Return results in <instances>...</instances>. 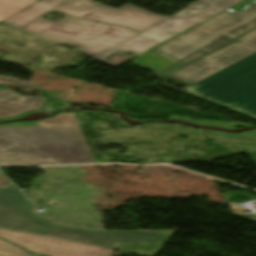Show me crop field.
I'll use <instances>...</instances> for the list:
<instances>
[{"label": "crop field", "mask_w": 256, "mask_h": 256, "mask_svg": "<svg viewBox=\"0 0 256 256\" xmlns=\"http://www.w3.org/2000/svg\"><path fill=\"white\" fill-rule=\"evenodd\" d=\"M40 126L78 125L74 113H61L54 118L39 122Z\"/></svg>", "instance_id": "crop-field-12"}, {"label": "crop field", "mask_w": 256, "mask_h": 256, "mask_svg": "<svg viewBox=\"0 0 256 256\" xmlns=\"http://www.w3.org/2000/svg\"><path fill=\"white\" fill-rule=\"evenodd\" d=\"M54 10L70 16L127 26L140 32L167 18L129 4L113 9L94 0H39L2 23L54 43L78 46V51L93 59L140 34L123 27L69 16L59 22L43 18Z\"/></svg>", "instance_id": "crop-field-1"}, {"label": "crop field", "mask_w": 256, "mask_h": 256, "mask_svg": "<svg viewBox=\"0 0 256 256\" xmlns=\"http://www.w3.org/2000/svg\"><path fill=\"white\" fill-rule=\"evenodd\" d=\"M39 110H40V109H38V110H33V111H29V112H25V113H23V114H21V115H19V116L14 117V118L0 119V121L12 120V119H20V118H22V117H24V116H26V115L31 114V113L39 112Z\"/></svg>", "instance_id": "crop-field-17"}, {"label": "crop field", "mask_w": 256, "mask_h": 256, "mask_svg": "<svg viewBox=\"0 0 256 256\" xmlns=\"http://www.w3.org/2000/svg\"><path fill=\"white\" fill-rule=\"evenodd\" d=\"M256 26V17L241 26L233 29L225 35L190 53L189 55L174 62L182 66L196 60L197 58L207 54L208 52L229 42L244 32ZM256 51V29L228 44L222 49L204 57L203 59L169 75L168 77L179 81L194 84L196 81L224 68L225 66L253 53ZM171 64L164 69L156 72L161 79L163 76L181 66ZM201 81V80H200ZM199 82V81H198Z\"/></svg>", "instance_id": "crop-field-4"}, {"label": "crop field", "mask_w": 256, "mask_h": 256, "mask_svg": "<svg viewBox=\"0 0 256 256\" xmlns=\"http://www.w3.org/2000/svg\"><path fill=\"white\" fill-rule=\"evenodd\" d=\"M249 5L245 11L225 10L151 51L174 62L255 17L256 4Z\"/></svg>", "instance_id": "crop-field-7"}, {"label": "crop field", "mask_w": 256, "mask_h": 256, "mask_svg": "<svg viewBox=\"0 0 256 256\" xmlns=\"http://www.w3.org/2000/svg\"><path fill=\"white\" fill-rule=\"evenodd\" d=\"M9 182L10 181L0 173V188H5Z\"/></svg>", "instance_id": "crop-field-16"}, {"label": "crop field", "mask_w": 256, "mask_h": 256, "mask_svg": "<svg viewBox=\"0 0 256 256\" xmlns=\"http://www.w3.org/2000/svg\"><path fill=\"white\" fill-rule=\"evenodd\" d=\"M135 66L140 67L144 70L158 71L172 62L148 51L138 58L132 60Z\"/></svg>", "instance_id": "crop-field-10"}, {"label": "crop field", "mask_w": 256, "mask_h": 256, "mask_svg": "<svg viewBox=\"0 0 256 256\" xmlns=\"http://www.w3.org/2000/svg\"><path fill=\"white\" fill-rule=\"evenodd\" d=\"M0 256H34V255L0 239Z\"/></svg>", "instance_id": "crop-field-14"}, {"label": "crop field", "mask_w": 256, "mask_h": 256, "mask_svg": "<svg viewBox=\"0 0 256 256\" xmlns=\"http://www.w3.org/2000/svg\"><path fill=\"white\" fill-rule=\"evenodd\" d=\"M250 2H251V1H249V0H248V1L244 0V1L240 2V3H238L237 5L231 7L230 9L236 11V10L239 9L240 7L246 5V4L250 3Z\"/></svg>", "instance_id": "crop-field-18"}, {"label": "crop field", "mask_w": 256, "mask_h": 256, "mask_svg": "<svg viewBox=\"0 0 256 256\" xmlns=\"http://www.w3.org/2000/svg\"><path fill=\"white\" fill-rule=\"evenodd\" d=\"M0 237L41 256H113L114 250L0 229Z\"/></svg>", "instance_id": "crop-field-8"}, {"label": "crop field", "mask_w": 256, "mask_h": 256, "mask_svg": "<svg viewBox=\"0 0 256 256\" xmlns=\"http://www.w3.org/2000/svg\"><path fill=\"white\" fill-rule=\"evenodd\" d=\"M35 206L11 183L0 189V228L113 249L117 242H157V231H97L48 221L32 213Z\"/></svg>", "instance_id": "crop-field-3"}, {"label": "crop field", "mask_w": 256, "mask_h": 256, "mask_svg": "<svg viewBox=\"0 0 256 256\" xmlns=\"http://www.w3.org/2000/svg\"><path fill=\"white\" fill-rule=\"evenodd\" d=\"M95 163L78 126L0 127V166Z\"/></svg>", "instance_id": "crop-field-2"}, {"label": "crop field", "mask_w": 256, "mask_h": 256, "mask_svg": "<svg viewBox=\"0 0 256 256\" xmlns=\"http://www.w3.org/2000/svg\"><path fill=\"white\" fill-rule=\"evenodd\" d=\"M0 126H39L38 122H25V123H11Z\"/></svg>", "instance_id": "crop-field-15"}, {"label": "crop field", "mask_w": 256, "mask_h": 256, "mask_svg": "<svg viewBox=\"0 0 256 256\" xmlns=\"http://www.w3.org/2000/svg\"><path fill=\"white\" fill-rule=\"evenodd\" d=\"M36 1L37 0H0V22Z\"/></svg>", "instance_id": "crop-field-11"}, {"label": "crop field", "mask_w": 256, "mask_h": 256, "mask_svg": "<svg viewBox=\"0 0 256 256\" xmlns=\"http://www.w3.org/2000/svg\"><path fill=\"white\" fill-rule=\"evenodd\" d=\"M240 1L242 0H199L96 60L117 68V65L106 61V58L117 52L139 56L148 51L149 48L197 25Z\"/></svg>", "instance_id": "crop-field-6"}, {"label": "crop field", "mask_w": 256, "mask_h": 256, "mask_svg": "<svg viewBox=\"0 0 256 256\" xmlns=\"http://www.w3.org/2000/svg\"><path fill=\"white\" fill-rule=\"evenodd\" d=\"M233 73V72H232ZM231 74V73H230ZM255 75V74H254ZM252 76V75H251ZM250 77V76H249ZM194 89H208V86L202 85V84H198L195 83L194 85H192Z\"/></svg>", "instance_id": "crop-field-19"}, {"label": "crop field", "mask_w": 256, "mask_h": 256, "mask_svg": "<svg viewBox=\"0 0 256 256\" xmlns=\"http://www.w3.org/2000/svg\"><path fill=\"white\" fill-rule=\"evenodd\" d=\"M232 71L249 76L256 73V52L202 79L206 84ZM209 90L186 91L188 95L256 120V75L250 78L233 73L206 84Z\"/></svg>", "instance_id": "crop-field-5"}, {"label": "crop field", "mask_w": 256, "mask_h": 256, "mask_svg": "<svg viewBox=\"0 0 256 256\" xmlns=\"http://www.w3.org/2000/svg\"><path fill=\"white\" fill-rule=\"evenodd\" d=\"M170 119L189 121L193 124L218 126V127H223V128H227V129L236 128V127L253 126V125H249V124H245V123L236 124V123H230V122H214V121H206V120L196 121V120H191L187 117H182V116H178V115H171Z\"/></svg>", "instance_id": "crop-field-13"}, {"label": "crop field", "mask_w": 256, "mask_h": 256, "mask_svg": "<svg viewBox=\"0 0 256 256\" xmlns=\"http://www.w3.org/2000/svg\"><path fill=\"white\" fill-rule=\"evenodd\" d=\"M256 163V152H253V153H249L248 154Z\"/></svg>", "instance_id": "crop-field-20"}, {"label": "crop field", "mask_w": 256, "mask_h": 256, "mask_svg": "<svg viewBox=\"0 0 256 256\" xmlns=\"http://www.w3.org/2000/svg\"><path fill=\"white\" fill-rule=\"evenodd\" d=\"M0 85H17L39 89V84L22 82L14 78L0 77ZM45 98L24 97L0 89V118L19 115L25 111L41 108Z\"/></svg>", "instance_id": "crop-field-9"}]
</instances>
